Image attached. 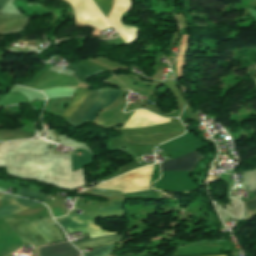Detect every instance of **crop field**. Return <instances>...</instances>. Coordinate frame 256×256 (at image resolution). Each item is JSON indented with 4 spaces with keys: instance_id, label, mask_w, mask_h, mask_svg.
Returning a JSON list of instances; mask_svg holds the SVG:
<instances>
[{
    "instance_id": "crop-field-8",
    "label": "crop field",
    "mask_w": 256,
    "mask_h": 256,
    "mask_svg": "<svg viewBox=\"0 0 256 256\" xmlns=\"http://www.w3.org/2000/svg\"><path fill=\"white\" fill-rule=\"evenodd\" d=\"M181 132L157 134V135H138V136H123L127 143H136V144H160L167 140L173 139L181 134Z\"/></svg>"
},
{
    "instance_id": "crop-field-19",
    "label": "crop field",
    "mask_w": 256,
    "mask_h": 256,
    "mask_svg": "<svg viewBox=\"0 0 256 256\" xmlns=\"http://www.w3.org/2000/svg\"><path fill=\"white\" fill-rule=\"evenodd\" d=\"M7 0H0V10L4 7Z\"/></svg>"
},
{
    "instance_id": "crop-field-15",
    "label": "crop field",
    "mask_w": 256,
    "mask_h": 256,
    "mask_svg": "<svg viewBox=\"0 0 256 256\" xmlns=\"http://www.w3.org/2000/svg\"><path fill=\"white\" fill-rule=\"evenodd\" d=\"M115 245H109V246H105L99 249H96L88 254H86L85 256H104L107 255L108 253L111 252V250L114 248Z\"/></svg>"
},
{
    "instance_id": "crop-field-11",
    "label": "crop field",
    "mask_w": 256,
    "mask_h": 256,
    "mask_svg": "<svg viewBox=\"0 0 256 256\" xmlns=\"http://www.w3.org/2000/svg\"><path fill=\"white\" fill-rule=\"evenodd\" d=\"M75 75L76 78L78 80V82H86L85 80H87L88 78L97 75L99 73H103L97 69L94 68H90L87 67L85 65H81V64H70Z\"/></svg>"
},
{
    "instance_id": "crop-field-17",
    "label": "crop field",
    "mask_w": 256,
    "mask_h": 256,
    "mask_svg": "<svg viewBox=\"0 0 256 256\" xmlns=\"http://www.w3.org/2000/svg\"><path fill=\"white\" fill-rule=\"evenodd\" d=\"M91 194L100 196H114L121 193L119 191L93 190Z\"/></svg>"
},
{
    "instance_id": "crop-field-2",
    "label": "crop field",
    "mask_w": 256,
    "mask_h": 256,
    "mask_svg": "<svg viewBox=\"0 0 256 256\" xmlns=\"http://www.w3.org/2000/svg\"><path fill=\"white\" fill-rule=\"evenodd\" d=\"M56 221L63 227V228H74V227H90L96 226L95 225V218L84 216V215H75V214H67L65 217L57 218ZM69 232L75 231H83L84 234H90V238L114 234L108 233L107 231H102L99 227H90V228H74V229H67ZM123 235H108L102 236L97 238H92L84 241L74 242L76 246L80 249L86 247H92L97 245H104V244H111L119 242Z\"/></svg>"
},
{
    "instance_id": "crop-field-20",
    "label": "crop field",
    "mask_w": 256,
    "mask_h": 256,
    "mask_svg": "<svg viewBox=\"0 0 256 256\" xmlns=\"http://www.w3.org/2000/svg\"><path fill=\"white\" fill-rule=\"evenodd\" d=\"M251 13V16L256 20V11L249 10Z\"/></svg>"
},
{
    "instance_id": "crop-field-18",
    "label": "crop field",
    "mask_w": 256,
    "mask_h": 256,
    "mask_svg": "<svg viewBox=\"0 0 256 256\" xmlns=\"http://www.w3.org/2000/svg\"><path fill=\"white\" fill-rule=\"evenodd\" d=\"M122 202H112L111 208H101L100 210H120Z\"/></svg>"
},
{
    "instance_id": "crop-field-6",
    "label": "crop field",
    "mask_w": 256,
    "mask_h": 256,
    "mask_svg": "<svg viewBox=\"0 0 256 256\" xmlns=\"http://www.w3.org/2000/svg\"><path fill=\"white\" fill-rule=\"evenodd\" d=\"M202 156L193 151L179 158L161 164V171L193 170Z\"/></svg>"
},
{
    "instance_id": "crop-field-16",
    "label": "crop field",
    "mask_w": 256,
    "mask_h": 256,
    "mask_svg": "<svg viewBox=\"0 0 256 256\" xmlns=\"http://www.w3.org/2000/svg\"><path fill=\"white\" fill-rule=\"evenodd\" d=\"M252 193L254 194L255 198L245 202L248 216L256 213V190Z\"/></svg>"
},
{
    "instance_id": "crop-field-5",
    "label": "crop field",
    "mask_w": 256,
    "mask_h": 256,
    "mask_svg": "<svg viewBox=\"0 0 256 256\" xmlns=\"http://www.w3.org/2000/svg\"><path fill=\"white\" fill-rule=\"evenodd\" d=\"M55 224L56 223L51 218L38 219L32 222V225L48 244L65 240Z\"/></svg>"
},
{
    "instance_id": "crop-field-10",
    "label": "crop field",
    "mask_w": 256,
    "mask_h": 256,
    "mask_svg": "<svg viewBox=\"0 0 256 256\" xmlns=\"http://www.w3.org/2000/svg\"><path fill=\"white\" fill-rule=\"evenodd\" d=\"M27 19L22 16L4 15L0 16V24L4 23L6 32L23 28Z\"/></svg>"
},
{
    "instance_id": "crop-field-21",
    "label": "crop field",
    "mask_w": 256,
    "mask_h": 256,
    "mask_svg": "<svg viewBox=\"0 0 256 256\" xmlns=\"http://www.w3.org/2000/svg\"><path fill=\"white\" fill-rule=\"evenodd\" d=\"M0 191L6 192V190H4V189H2V188H0Z\"/></svg>"
},
{
    "instance_id": "crop-field-12",
    "label": "crop field",
    "mask_w": 256,
    "mask_h": 256,
    "mask_svg": "<svg viewBox=\"0 0 256 256\" xmlns=\"http://www.w3.org/2000/svg\"><path fill=\"white\" fill-rule=\"evenodd\" d=\"M79 155H83L82 160L77 159ZM89 164H92V158L88 151L84 149H76L72 153L73 171L76 169L83 168Z\"/></svg>"
},
{
    "instance_id": "crop-field-9",
    "label": "crop field",
    "mask_w": 256,
    "mask_h": 256,
    "mask_svg": "<svg viewBox=\"0 0 256 256\" xmlns=\"http://www.w3.org/2000/svg\"><path fill=\"white\" fill-rule=\"evenodd\" d=\"M38 256H76L80 252L76 250L71 243L66 242L63 244L38 248Z\"/></svg>"
},
{
    "instance_id": "crop-field-14",
    "label": "crop field",
    "mask_w": 256,
    "mask_h": 256,
    "mask_svg": "<svg viewBox=\"0 0 256 256\" xmlns=\"http://www.w3.org/2000/svg\"><path fill=\"white\" fill-rule=\"evenodd\" d=\"M102 13L107 18L112 9V0H94Z\"/></svg>"
},
{
    "instance_id": "crop-field-13",
    "label": "crop field",
    "mask_w": 256,
    "mask_h": 256,
    "mask_svg": "<svg viewBox=\"0 0 256 256\" xmlns=\"http://www.w3.org/2000/svg\"><path fill=\"white\" fill-rule=\"evenodd\" d=\"M18 195L23 196V197H27V198H31V199H35V200H38V201H42V202H44L47 198V196H44L42 194L36 193L32 190H29V189H26V188H23V187H21Z\"/></svg>"
},
{
    "instance_id": "crop-field-4",
    "label": "crop field",
    "mask_w": 256,
    "mask_h": 256,
    "mask_svg": "<svg viewBox=\"0 0 256 256\" xmlns=\"http://www.w3.org/2000/svg\"><path fill=\"white\" fill-rule=\"evenodd\" d=\"M4 220L11 226L13 231L21 237L24 244H31L33 246L47 245L28 220Z\"/></svg>"
},
{
    "instance_id": "crop-field-22",
    "label": "crop field",
    "mask_w": 256,
    "mask_h": 256,
    "mask_svg": "<svg viewBox=\"0 0 256 256\" xmlns=\"http://www.w3.org/2000/svg\"><path fill=\"white\" fill-rule=\"evenodd\" d=\"M222 256H226V255H222Z\"/></svg>"
},
{
    "instance_id": "crop-field-1",
    "label": "crop field",
    "mask_w": 256,
    "mask_h": 256,
    "mask_svg": "<svg viewBox=\"0 0 256 256\" xmlns=\"http://www.w3.org/2000/svg\"><path fill=\"white\" fill-rule=\"evenodd\" d=\"M106 88H109V87H106ZM101 89L94 90L93 92L90 90H86V89H77V91L75 92V94H77L75 99L69 104V106L65 109V111L62 113V115L60 117L64 118L66 120V122H68L69 119L73 116V114L78 110V108L82 105V103L86 100V98L92 92V94L88 97V99L83 103V105L79 108V110L75 113V115L68 122V124L73 126L76 123V121L79 119V117L83 114V112L89 107V105L99 95V93L101 92ZM111 89H103L102 92L100 93V95L90 105V107L84 112V114L81 116V118L77 121V123L74 126L80 125L87 120H92V118L97 110L108 105L117 95L123 93V92H121L123 90L117 91V90H111ZM115 99L113 101H115ZM101 110H99V111H101ZM99 111H97V113ZM88 122H90V121H88ZM85 123H83V124H85ZM82 125H80V126H82Z\"/></svg>"
},
{
    "instance_id": "crop-field-7",
    "label": "crop field",
    "mask_w": 256,
    "mask_h": 256,
    "mask_svg": "<svg viewBox=\"0 0 256 256\" xmlns=\"http://www.w3.org/2000/svg\"><path fill=\"white\" fill-rule=\"evenodd\" d=\"M0 200L12 203L0 208V217H7L22 210L28 209L34 205L40 204L38 202L21 199L19 197L7 194L0 196Z\"/></svg>"
},
{
    "instance_id": "crop-field-3",
    "label": "crop field",
    "mask_w": 256,
    "mask_h": 256,
    "mask_svg": "<svg viewBox=\"0 0 256 256\" xmlns=\"http://www.w3.org/2000/svg\"><path fill=\"white\" fill-rule=\"evenodd\" d=\"M65 1L72 4L76 21L96 26L99 31L110 27L91 0Z\"/></svg>"
}]
</instances>
